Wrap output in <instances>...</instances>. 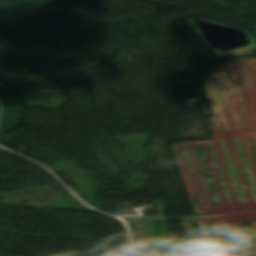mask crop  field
I'll return each instance as SVG.
<instances>
[{
    "mask_svg": "<svg viewBox=\"0 0 256 256\" xmlns=\"http://www.w3.org/2000/svg\"><path fill=\"white\" fill-rule=\"evenodd\" d=\"M256 59L221 65L206 81V91L215 118L213 131L255 129L235 69L252 65Z\"/></svg>",
    "mask_w": 256,
    "mask_h": 256,
    "instance_id": "1",
    "label": "crop field"
}]
</instances>
